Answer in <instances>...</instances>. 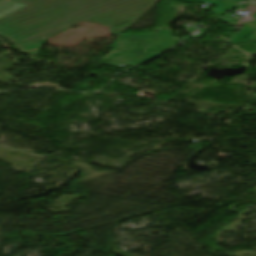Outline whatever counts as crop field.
<instances>
[{
  "label": "crop field",
  "instance_id": "8a807250",
  "mask_svg": "<svg viewBox=\"0 0 256 256\" xmlns=\"http://www.w3.org/2000/svg\"><path fill=\"white\" fill-rule=\"evenodd\" d=\"M12 1L29 5L0 19V35L36 55L46 38L82 20L106 25L119 36L159 0Z\"/></svg>",
  "mask_w": 256,
  "mask_h": 256
},
{
  "label": "crop field",
  "instance_id": "ac0d7876",
  "mask_svg": "<svg viewBox=\"0 0 256 256\" xmlns=\"http://www.w3.org/2000/svg\"><path fill=\"white\" fill-rule=\"evenodd\" d=\"M156 35H121L114 40L113 50L101 62L109 66H136L159 53H145Z\"/></svg>",
  "mask_w": 256,
  "mask_h": 256
},
{
  "label": "crop field",
  "instance_id": "34b2d1b8",
  "mask_svg": "<svg viewBox=\"0 0 256 256\" xmlns=\"http://www.w3.org/2000/svg\"><path fill=\"white\" fill-rule=\"evenodd\" d=\"M179 40L171 38V30H158L155 42L145 52H163Z\"/></svg>",
  "mask_w": 256,
  "mask_h": 256
},
{
  "label": "crop field",
  "instance_id": "412701ff",
  "mask_svg": "<svg viewBox=\"0 0 256 256\" xmlns=\"http://www.w3.org/2000/svg\"><path fill=\"white\" fill-rule=\"evenodd\" d=\"M238 8L246 9L252 12V15L248 18H245L239 21V23L247 24V25L230 41L235 45L238 42H240L243 38H245L249 33H251L253 30L256 29V7L241 4ZM251 23H254V24L251 25Z\"/></svg>",
  "mask_w": 256,
  "mask_h": 256
},
{
  "label": "crop field",
  "instance_id": "f4fd0767",
  "mask_svg": "<svg viewBox=\"0 0 256 256\" xmlns=\"http://www.w3.org/2000/svg\"><path fill=\"white\" fill-rule=\"evenodd\" d=\"M181 1H186V2L197 1V2H201V3H206V4H211L213 6H217L215 11L218 15L222 14L226 10L232 9L234 6L237 5V3L227 2V1H223V0H181Z\"/></svg>",
  "mask_w": 256,
  "mask_h": 256
},
{
  "label": "crop field",
  "instance_id": "dd49c442",
  "mask_svg": "<svg viewBox=\"0 0 256 256\" xmlns=\"http://www.w3.org/2000/svg\"><path fill=\"white\" fill-rule=\"evenodd\" d=\"M24 6H26V5L12 2L9 0H0V18L3 16H6Z\"/></svg>",
  "mask_w": 256,
  "mask_h": 256
},
{
  "label": "crop field",
  "instance_id": "e52e79f7",
  "mask_svg": "<svg viewBox=\"0 0 256 256\" xmlns=\"http://www.w3.org/2000/svg\"><path fill=\"white\" fill-rule=\"evenodd\" d=\"M254 39H256V33L249 40H254Z\"/></svg>",
  "mask_w": 256,
  "mask_h": 256
},
{
  "label": "crop field",
  "instance_id": "d8731c3e",
  "mask_svg": "<svg viewBox=\"0 0 256 256\" xmlns=\"http://www.w3.org/2000/svg\"><path fill=\"white\" fill-rule=\"evenodd\" d=\"M231 1H237V2H240V1H242V0H231Z\"/></svg>",
  "mask_w": 256,
  "mask_h": 256
},
{
  "label": "crop field",
  "instance_id": "5a996713",
  "mask_svg": "<svg viewBox=\"0 0 256 256\" xmlns=\"http://www.w3.org/2000/svg\"><path fill=\"white\" fill-rule=\"evenodd\" d=\"M254 113H256V111H254Z\"/></svg>",
  "mask_w": 256,
  "mask_h": 256
}]
</instances>
